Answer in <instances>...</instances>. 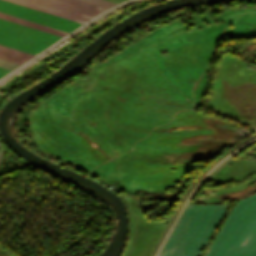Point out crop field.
Segmentation results:
<instances>
[{
    "label": "crop field",
    "instance_id": "obj_7",
    "mask_svg": "<svg viewBox=\"0 0 256 256\" xmlns=\"http://www.w3.org/2000/svg\"><path fill=\"white\" fill-rule=\"evenodd\" d=\"M18 65H19V64L12 63V62L5 61V60L0 59V67H3V68L12 70V69H14L15 67H17Z\"/></svg>",
    "mask_w": 256,
    "mask_h": 256
},
{
    "label": "crop field",
    "instance_id": "obj_6",
    "mask_svg": "<svg viewBox=\"0 0 256 256\" xmlns=\"http://www.w3.org/2000/svg\"><path fill=\"white\" fill-rule=\"evenodd\" d=\"M83 1L93 3V4H96V5H99V6H103V7H106V8H109V7L116 4V3L109 2V1H106V0H83Z\"/></svg>",
    "mask_w": 256,
    "mask_h": 256
},
{
    "label": "crop field",
    "instance_id": "obj_5",
    "mask_svg": "<svg viewBox=\"0 0 256 256\" xmlns=\"http://www.w3.org/2000/svg\"><path fill=\"white\" fill-rule=\"evenodd\" d=\"M0 17L8 19V20L15 21V22H18V23H21V24H25V25H28V26H31V27H35V28H38V29H41V30H44V31H48V32H51V33H54V34H58V35H61V36L65 35L67 33V32H63V31H60V30H57V29H53V28L43 26V25H40V24H37V23H33V22H30V21H27V20H23V19L16 18V17L10 16V15H6V14H3V13H0Z\"/></svg>",
    "mask_w": 256,
    "mask_h": 256
},
{
    "label": "crop field",
    "instance_id": "obj_1",
    "mask_svg": "<svg viewBox=\"0 0 256 256\" xmlns=\"http://www.w3.org/2000/svg\"><path fill=\"white\" fill-rule=\"evenodd\" d=\"M60 38L0 18L1 45L35 55Z\"/></svg>",
    "mask_w": 256,
    "mask_h": 256
},
{
    "label": "crop field",
    "instance_id": "obj_3",
    "mask_svg": "<svg viewBox=\"0 0 256 256\" xmlns=\"http://www.w3.org/2000/svg\"><path fill=\"white\" fill-rule=\"evenodd\" d=\"M0 12L20 17L23 19H27L67 32L71 31L72 29L76 28L81 24L41 11H37L31 8H27L21 5H17L11 2H7L4 0H0Z\"/></svg>",
    "mask_w": 256,
    "mask_h": 256
},
{
    "label": "crop field",
    "instance_id": "obj_2",
    "mask_svg": "<svg viewBox=\"0 0 256 256\" xmlns=\"http://www.w3.org/2000/svg\"><path fill=\"white\" fill-rule=\"evenodd\" d=\"M78 22H85L106 8L79 0H8ZM93 18V17H92Z\"/></svg>",
    "mask_w": 256,
    "mask_h": 256
},
{
    "label": "crop field",
    "instance_id": "obj_8",
    "mask_svg": "<svg viewBox=\"0 0 256 256\" xmlns=\"http://www.w3.org/2000/svg\"><path fill=\"white\" fill-rule=\"evenodd\" d=\"M8 72H9L8 70L0 68V77L3 76L4 74L8 73Z\"/></svg>",
    "mask_w": 256,
    "mask_h": 256
},
{
    "label": "crop field",
    "instance_id": "obj_4",
    "mask_svg": "<svg viewBox=\"0 0 256 256\" xmlns=\"http://www.w3.org/2000/svg\"><path fill=\"white\" fill-rule=\"evenodd\" d=\"M33 55L23 53L11 48H7L0 45V58L6 59L16 63H23L24 61L31 58Z\"/></svg>",
    "mask_w": 256,
    "mask_h": 256
}]
</instances>
